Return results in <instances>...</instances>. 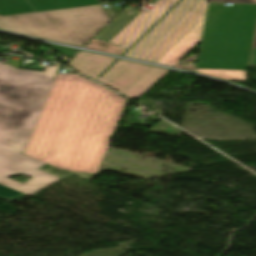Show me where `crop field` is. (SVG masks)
<instances>
[{"mask_svg":"<svg viewBox=\"0 0 256 256\" xmlns=\"http://www.w3.org/2000/svg\"><path fill=\"white\" fill-rule=\"evenodd\" d=\"M86 48L119 55H122L125 52L123 49L117 48L97 39H94Z\"/></svg>","mask_w":256,"mask_h":256,"instance_id":"22f410ed","label":"crop field"},{"mask_svg":"<svg viewBox=\"0 0 256 256\" xmlns=\"http://www.w3.org/2000/svg\"><path fill=\"white\" fill-rule=\"evenodd\" d=\"M46 164L0 146V184L26 193L30 196L49 186L60 178L37 170ZM23 173L34 178L21 184L8 179L9 177Z\"/></svg>","mask_w":256,"mask_h":256,"instance_id":"d8731c3e","label":"crop field"},{"mask_svg":"<svg viewBox=\"0 0 256 256\" xmlns=\"http://www.w3.org/2000/svg\"><path fill=\"white\" fill-rule=\"evenodd\" d=\"M249 65H256V34Z\"/></svg>","mask_w":256,"mask_h":256,"instance_id":"733c2abd","label":"crop field"},{"mask_svg":"<svg viewBox=\"0 0 256 256\" xmlns=\"http://www.w3.org/2000/svg\"><path fill=\"white\" fill-rule=\"evenodd\" d=\"M26 196L28 195H24L22 193L0 185V198L3 200L15 201Z\"/></svg>","mask_w":256,"mask_h":256,"instance_id":"cbeb9de0","label":"crop field"},{"mask_svg":"<svg viewBox=\"0 0 256 256\" xmlns=\"http://www.w3.org/2000/svg\"><path fill=\"white\" fill-rule=\"evenodd\" d=\"M127 102L78 75L58 73L23 154L97 174Z\"/></svg>","mask_w":256,"mask_h":256,"instance_id":"8a807250","label":"crop field"},{"mask_svg":"<svg viewBox=\"0 0 256 256\" xmlns=\"http://www.w3.org/2000/svg\"><path fill=\"white\" fill-rule=\"evenodd\" d=\"M179 0H161L147 14L132 10H124L111 24H109L97 38L119 45L121 43L132 45L156 21H158Z\"/></svg>","mask_w":256,"mask_h":256,"instance_id":"e52e79f7","label":"crop field"},{"mask_svg":"<svg viewBox=\"0 0 256 256\" xmlns=\"http://www.w3.org/2000/svg\"><path fill=\"white\" fill-rule=\"evenodd\" d=\"M195 72L222 78L228 81H246V71L195 69Z\"/></svg>","mask_w":256,"mask_h":256,"instance_id":"d1516ede","label":"crop field"},{"mask_svg":"<svg viewBox=\"0 0 256 256\" xmlns=\"http://www.w3.org/2000/svg\"><path fill=\"white\" fill-rule=\"evenodd\" d=\"M111 20L102 4H98L4 16L0 17V28L19 34L83 47Z\"/></svg>","mask_w":256,"mask_h":256,"instance_id":"f4fd0767","label":"crop field"},{"mask_svg":"<svg viewBox=\"0 0 256 256\" xmlns=\"http://www.w3.org/2000/svg\"><path fill=\"white\" fill-rule=\"evenodd\" d=\"M48 45L52 46L53 48H55L56 50H58L59 52H61L62 54L66 55L69 58L77 51L76 49L66 48L62 46H57L52 44H48Z\"/></svg>","mask_w":256,"mask_h":256,"instance_id":"5142ce71","label":"crop field"},{"mask_svg":"<svg viewBox=\"0 0 256 256\" xmlns=\"http://www.w3.org/2000/svg\"><path fill=\"white\" fill-rule=\"evenodd\" d=\"M209 4L197 68L247 70L256 6Z\"/></svg>","mask_w":256,"mask_h":256,"instance_id":"34b2d1b8","label":"crop field"},{"mask_svg":"<svg viewBox=\"0 0 256 256\" xmlns=\"http://www.w3.org/2000/svg\"><path fill=\"white\" fill-rule=\"evenodd\" d=\"M35 11L27 0H0V16Z\"/></svg>","mask_w":256,"mask_h":256,"instance_id":"28ad6ade","label":"crop field"},{"mask_svg":"<svg viewBox=\"0 0 256 256\" xmlns=\"http://www.w3.org/2000/svg\"><path fill=\"white\" fill-rule=\"evenodd\" d=\"M207 6L183 0L124 56L174 67L200 43Z\"/></svg>","mask_w":256,"mask_h":256,"instance_id":"412701ff","label":"crop field"},{"mask_svg":"<svg viewBox=\"0 0 256 256\" xmlns=\"http://www.w3.org/2000/svg\"><path fill=\"white\" fill-rule=\"evenodd\" d=\"M119 46L124 47V48H126V49H128V48L130 47L129 45H124V44H121V45H119Z\"/></svg>","mask_w":256,"mask_h":256,"instance_id":"4a817a6b","label":"crop field"},{"mask_svg":"<svg viewBox=\"0 0 256 256\" xmlns=\"http://www.w3.org/2000/svg\"><path fill=\"white\" fill-rule=\"evenodd\" d=\"M36 11L98 4V0H28Z\"/></svg>","mask_w":256,"mask_h":256,"instance_id":"3316defc","label":"crop field"},{"mask_svg":"<svg viewBox=\"0 0 256 256\" xmlns=\"http://www.w3.org/2000/svg\"><path fill=\"white\" fill-rule=\"evenodd\" d=\"M58 68L25 71L0 63V145L23 153Z\"/></svg>","mask_w":256,"mask_h":256,"instance_id":"ac0d7876","label":"crop field"},{"mask_svg":"<svg viewBox=\"0 0 256 256\" xmlns=\"http://www.w3.org/2000/svg\"><path fill=\"white\" fill-rule=\"evenodd\" d=\"M208 1L256 4V0H208Z\"/></svg>","mask_w":256,"mask_h":256,"instance_id":"d9b57169","label":"crop field"},{"mask_svg":"<svg viewBox=\"0 0 256 256\" xmlns=\"http://www.w3.org/2000/svg\"><path fill=\"white\" fill-rule=\"evenodd\" d=\"M117 58L81 51L69 63V67L97 79Z\"/></svg>","mask_w":256,"mask_h":256,"instance_id":"5a996713","label":"crop field"},{"mask_svg":"<svg viewBox=\"0 0 256 256\" xmlns=\"http://www.w3.org/2000/svg\"><path fill=\"white\" fill-rule=\"evenodd\" d=\"M170 70L119 59L99 79L114 90L134 99L143 96Z\"/></svg>","mask_w":256,"mask_h":256,"instance_id":"dd49c442","label":"crop field"}]
</instances>
